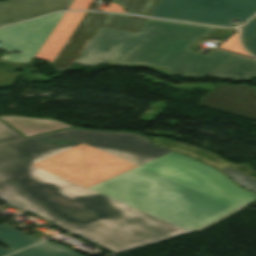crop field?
I'll return each instance as SVG.
<instances>
[{"instance_id": "22f410ed", "label": "crop field", "mask_w": 256, "mask_h": 256, "mask_svg": "<svg viewBox=\"0 0 256 256\" xmlns=\"http://www.w3.org/2000/svg\"><path fill=\"white\" fill-rule=\"evenodd\" d=\"M11 256H82L81 254L54 243L45 241Z\"/></svg>"}, {"instance_id": "d1516ede", "label": "crop field", "mask_w": 256, "mask_h": 256, "mask_svg": "<svg viewBox=\"0 0 256 256\" xmlns=\"http://www.w3.org/2000/svg\"><path fill=\"white\" fill-rule=\"evenodd\" d=\"M41 240L42 239L30 237L19 230L0 224V242L10 248L9 250H4L0 247V256H4Z\"/></svg>"}, {"instance_id": "00972430", "label": "crop field", "mask_w": 256, "mask_h": 256, "mask_svg": "<svg viewBox=\"0 0 256 256\" xmlns=\"http://www.w3.org/2000/svg\"><path fill=\"white\" fill-rule=\"evenodd\" d=\"M96 9H100L103 11H110V12H119V13H127L126 11L122 10L121 7H119L116 4H113L110 2L107 8L98 7Z\"/></svg>"}, {"instance_id": "a9b5d70f", "label": "crop field", "mask_w": 256, "mask_h": 256, "mask_svg": "<svg viewBox=\"0 0 256 256\" xmlns=\"http://www.w3.org/2000/svg\"><path fill=\"white\" fill-rule=\"evenodd\" d=\"M239 86L252 88V87H250L248 85H245V84H242V85H239Z\"/></svg>"}, {"instance_id": "e52e79f7", "label": "crop field", "mask_w": 256, "mask_h": 256, "mask_svg": "<svg viewBox=\"0 0 256 256\" xmlns=\"http://www.w3.org/2000/svg\"><path fill=\"white\" fill-rule=\"evenodd\" d=\"M145 18L86 12L75 33L94 36L100 26L138 33Z\"/></svg>"}, {"instance_id": "4177f3b9", "label": "crop field", "mask_w": 256, "mask_h": 256, "mask_svg": "<svg viewBox=\"0 0 256 256\" xmlns=\"http://www.w3.org/2000/svg\"><path fill=\"white\" fill-rule=\"evenodd\" d=\"M253 89H254V91H255V93H256V90H255V88L253 87Z\"/></svg>"}, {"instance_id": "28ad6ade", "label": "crop field", "mask_w": 256, "mask_h": 256, "mask_svg": "<svg viewBox=\"0 0 256 256\" xmlns=\"http://www.w3.org/2000/svg\"><path fill=\"white\" fill-rule=\"evenodd\" d=\"M91 39V36L72 33L68 42L61 50L57 58L54 60L52 65L56 68L66 64L74 65V63L84 51Z\"/></svg>"}, {"instance_id": "f4fd0767", "label": "crop field", "mask_w": 256, "mask_h": 256, "mask_svg": "<svg viewBox=\"0 0 256 256\" xmlns=\"http://www.w3.org/2000/svg\"><path fill=\"white\" fill-rule=\"evenodd\" d=\"M198 105L256 120L253 89L218 84Z\"/></svg>"}, {"instance_id": "5142ce71", "label": "crop field", "mask_w": 256, "mask_h": 256, "mask_svg": "<svg viewBox=\"0 0 256 256\" xmlns=\"http://www.w3.org/2000/svg\"><path fill=\"white\" fill-rule=\"evenodd\" d=\"M224 173H226L229 177H231L234 181H236L241 186L256 192V179L245 175L229 166L220 168Z\"/></svg>"}, {"instance_id": "34b2d1b8", "label": "crop field", "mask_w": 256, "mask_h": 256, "mask_svg": "<svg viewBox=\"0 0 256 256\" xmlns=\"http://www.w3.org/2000/svg\"><path fill=\"white\" fill-rule=\"evenodd\" d=\"M256 13V0H159L150 16L190 22L234 26Z\"/></svg>"}, {"instance_id": "412701ff", "label": "crop field", "mask_w": 256, "mask_h": 256, "mask_svg": "<svg viewBox=\"0 0 256 256\" xmlns=\"http://www.w3.org/2000/svg\"><path fill=\"white\" fill-rule=\"evenodd\" d=\"M64 13H59L0 30V50L12 52L0 55V60L29 62L33 60Z\"/></svg>"}, {"instance_id": "cbeb9de0", "label": "crop field", "mask_w": 256, "mask_h": 256, "mask_svg": "<svg viewBox=\"0 0 256 256\" xmlns=\"http://www.w3.org/2000/svg\"><path fill=\"white\" fill-rule=\"evenodd\" d=\"M119 4L129 13L149 16L158 0H109Z\"/></svg>"}, {"instance_id": "92a150f3", "label": "crop field", "mask_w": 256, "mask_h": 256, "mask_svg": "<svg viewBox=\"0 0 256 256\" xmlns=\"http://www.w3.org/2000/svg\"><path fill=\"white\" fill-rule=\"evenodd\" d=\"M248 51L256 56V35L244 44Z\"/></svg>"}, {"instance_id": "8a807250", "label": "crop field", "mask_w": 256, "mask_h": 256, "mask_svg": "<svg viewBox=\"0 0 256 256\" xmlns=\"http://www.w3.org/2000/svg\"><path fill=\"white\" fill-rule=\"evenodd\" d=\"M0 197L113 253L205 227L256 200L144 136L78 129L0 143Z\"/></svg>"}, {"instance_id": "d9b57169", "label": "crop field", "mask_w": 256, "mask_h": 256, "mask_svg": "<svg viewBox=\"0 0 256 256\" xmlns=\"http://www.w3.org/2000/svg\"><path fill=\"white\" fill-rule=\"evenodd\" d=\"M237 34L238 32L233 34L229 39H227L223 44H221L219 48L251 57L250 55L246 54L244 50L239 46L237 41Z\"/></svg>"}, {"instance_id": "4a817a6b", "label": "crop field", "mask_w": 256, "mask_h": 256, "mask_svg": "<svg viewBox=\"0 0 256 256\" xmlns=\"http://www.w3.org/2000/svg\"><path fill=\"white\" fill-rule=\"evenodd\" d=\"M19 74L18 72L8 73L0 69V88L11 87Z\"/></svg>"}, {"instance_id": "dafd665d", "label": "crop field", "mask_w": 256, "mask_h": 256, "mask_svg": "<svg viewBox=\"0 0 256 256\" xmlns=\"http://www.w3.org/2000/svg\"><path fill=\"white\" fill-rule=\"evenodd\" d=\"M0 68L4 69V70H9V71H13V70H20V69H16V68H12V67H2L0 66ZM23 73L20 74L22 76L23 79H25L26 81H48L49 79H36V78H31V77H25L26 76V72L24 70H22Z\"/></svg>"}, {"instance_id": "d8731c3e", "label": "crop field", "mask_w": 256, "mask_h": 256, "mask_svg": "<svg viewBox=\"0 0 256 256\" xmlns=\"http://www.w3.org/2000/svg\"><path fill=\"white\" fill-rule=\"evenodd\" d=\"M85 12H66L53 33L43 45L36 58L53 62L71 33L81 22Z\"/></svg>"}, {"instance_id": "ac0d7876", "label": "crop field", "mask_w": 256, "mask_h": 256, "mask_svg": "<svg viewBox=\"0 0 256 256\" xmlns=\"http://www.w3.org/2000/svg\"><path fill=\"white\" fill-rule=\"evenodd\" d=\"M212 27L147 19L138 34L100 27L76 63H141L174 75L233 79L256 75V61L215 50L208 56L187 50Z\"/></svg>"}, {"instance_id": "214f88e0", "label": "crop field", "mask_w": 256, "mask_h": 256, "mask_svg": "<svg viewBox=\"0 0 256 256\" xmlns=\"http://www.w3.org/2000/svg\"><path fill=\"white\" fill-rule=\"evenodd\" d=\"M93 0H74L68 10H88Z\"/></svg>"}, {"instance_id": "dd49c442", "label": "crop field", "mask_w": 256, "mask_h": 256, "mask_svg": "<svg viewBox=\"0 0 256 256\" xmlns=\"http://www.w3.org/2000/svg\"><path fill=\"white\" fill-rule=\"evenodd\" d=\"M73 0H11L0 3V26L69 8Z\"/></svg>"}, {"instance_id": "733c2abd", "label": "crop field", "mask_w": 256, "mask_h": 256, "mask_svg": "<svg viewBox=\"0 0 256 256\" xmlns=\"http://www.w3.org/2000/svg\"><path fill=\"white\" fill-rule=\"evenodd\" d=\"M17 138H22V136L0 121V142Z\"/></svg>"}, {"instance_id": "3316defc", "label": "crop field", "mask_w": 256, "mask_h": 256, "mask_svg": "<svg viewBox=\"0 0 256 256\" xmlns=\"http://www.w3.org/2000/svg\"><path fill=\"white\" fill-rule=\"evenodd\" d=\"M0 118L25 136L69 128L68 125L58 121H54V120L16 117V116H8V117H0Z\"/></svg>"}, {"instance_id": "bc2a9ffb", "label": "crop field", "mask_w": 256, "mask_h": 256, "mask_svg": "<svg viewBox=\"0 0 256 256\" xmlns=\"http://www.w3.org/2000/svg\"><path fill=\"white\" fill-rule=\"evenodd\" d=\"M242 42L243 44L249 40L254 34H256V17L253 18L249 23L242 27Z\"/></svg>"}, {"instance_id": "5a996713", "label": "crop field", "mask_w": 256, "mask_h": 256, "mask_svg": "<svg viewBox=\"0 0 256 256\" xmlns=\"http://www.w3.org/2000/svg\"><path fill=\"white\" fill-rule=\"evenodd\" d=\"M155 144L158 145H162L168 148H172L175 149L179 152L191 155L195 158H198L214 167L220 168L226 165H229L245 174H248L254 178H256V171H254L250 165L248 164H234L231 163L221 157H219L218 155L204 150V149H200L194 146H190L187 144H183L180 142H176V141H172V140H168V139H164V138H158V137H152L150 138Z\"/></svg>"}, {"instance_id": "730fd06b", "label": "crop field", "mask_w": 256, "mask_h": 256, "mask_svg": "<svg viewBox=\"0 0 256 256\" xmlns=\"http://www.w3.org/2000/svg\"><path fill=\"white\" fill-rule=\"evenodd\" d=\"M256 88V87H255Z\"/></svg>"}]
</instances>
